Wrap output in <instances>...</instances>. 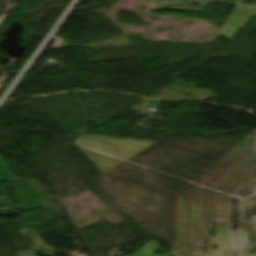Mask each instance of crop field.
Returning a JSON list of instances; mask_svg holds the SVG:
<instances>
[{
	"instance_id": "8a807250",
	"label": "crop field",
	"mask_w": 256,
	"mask_h": 256,
	"mask_svg": "<svg viewBox=\"0 0 256 256\" xmlns=\"http://www.w3.org/2000/svg\"><path fill=\"white\" fill-rule=\"evenodd\" d=\"M245 147L256 155V131L245 141ZM256 190V174L247 187L246 200L242 201L216 192L214 222L218 229L212 250L211 238L201 236L200 254L205 256H227L228 223L230 222V256H256V203L249 202L247 195Z\"/></svg>"
},
{
	"instance_id": "ac0d7876",
	"label": "crop field",
	"mask_w": 256,
	"mask_h": 256,
	"mask_svg": "<svg viewBox=\"0 0 256 256\" xmlns=\"http://www.w3.org/2000/svg\"><path fill=\"white\" fill-rule=\"evenodd\" d=\"M215 192L190 184L174 196V255H199L200 235L213 224Z\"/></svg>"
},
{
	"instance_id": "34b2d1b8",
	"label": "crop field",
	"mask_w": 256,
	"mask_h": 256,
	"mask_svg": "<svg viewBox=\"0 0 256 256\" xmlns=\"http://www.w3.org/2000/svg\"><path fill=\"white\" fill-rule=\"evenodd\" d=\"M255 172L254 153L240 144L193 183L245 199L246 186H250Z\"/></svg>"
},
{
	"instance_id": "412701ff",
	"label": "crop field",
	"mask_w": 256,
	"mask_h": 256,
	"mask_svg": "<svg viewBox=\"0 0 256 256\" xmlns=\"http://www.w3.org/2000/svg\"><path fill=\"white\" fill-rule=\"evenodd\" d=\"M74 143L128 160L156 142L121 138L83 136Z\"/></svg>"
},
{
	"instance_id": "f4fd0767",
	"label": "crop field",
	"mask_w": 256,
	"mask_h": 256,
	"mask_svg": "<svg viewBox=\"0 0 256 256\" xmlns=\"http://www.w3.org/2000/svg\"><path fill=\"white\" fill-rule=\"evenodd\" d=\"M104 174L124 161L78 147Z\"/></svg>"
},
{
	"instance_id": "dd49c442",
	"label": "crop field",
	"mask_w": 256,
	"mask_h": 256,
	"mask_svg": "<svg viewBox=\"0 0 256 256\" xmlns=\"http://www.w3.org/2000/svg\"><path fill=\"white\" fill-rule=\"evenodd\" d=\"M14 180L2 160L0 159V182Z\"/></svg>"
},
{
	"instance_id": "e52e79f7",
	"label": "crop field",
	"mask_w": 256,
	"mask_h": 256,
	"mask_svg": "<svg viewBox=\"0 0 256 256\" xmlns=\"http://www.w3.org/2000/svg\"><path fill=\"white\" fill-rule=\"evenodd\" d=\"M34 251L18 252L17 256H34Z\"/></svg>"
}]
</instances>
